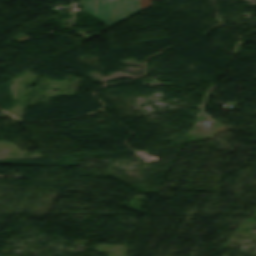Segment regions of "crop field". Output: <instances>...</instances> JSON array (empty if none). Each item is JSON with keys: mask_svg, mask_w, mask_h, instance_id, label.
I'll return each instance as SVG.
<instances>
[{"mask_svg": "<svg viewBox=\"0 0 256 256\" xmlns=\"http://www.w3.org/2000/svg\"><path fill=\"white\" fill-rule=\"evenodd\" d=\"M81 3L85 12L111 26L139 11L137 0H83Z\"/></svg>", "mask_w": 256, "mask_h": 256, "instance_id": "obj_1", "label": "crop field"}, {"mask_svg": "<svg viewBox=\"0 0 256 256\" xmlns=\"http://www.w3.org/2000/svg\"><path fill=\"white\" fill-rule=\"evenodd\" d=\"M140 1V7H141V9H144V8H146V7H148V6H150L151 4H150V1L151 0H139Z\"/></svg>", "mask_w": 256, "mask_h": 256, "instance_id": "obj_2", "label": "crop field"}, {"mask_svg": "<svg viewBox=\"0 0 256 256\" xmlns=\"http://www.w3.org/2000/svg\"><path fill=\"white\" fill-rule=\"evenodd\" d=\"M158 1H160V0H158Z\"/></svg>", "mask_w": 256, "mask_h": 256, "instance_id": "obj_3", "label": "crop field"}]
</instances>
